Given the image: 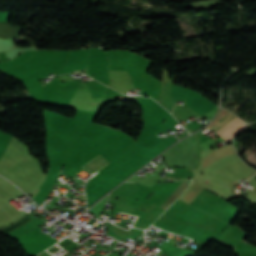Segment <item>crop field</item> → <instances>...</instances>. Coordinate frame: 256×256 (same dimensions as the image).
<instances>
[{"label":"crop field","mask_w":256,"mask_h":256,"mask_svg":"<svg viewBox=\"0 0 256 256\" xmlns=\"http://www.w3.org/2000/svg\"><path fill=\"white\" fill-rule=\"evenodd\" d=\"M244 123L239 118H234L232 121L217 130V134L228 140L243 130Z\"/></svg>","instance_id":"obj_1"},{"label":"crop field","mask_w":256,"mask_h":256,"mask_svg":"<svg viewBox=\"0 0 256 256\" xmlns=\"http://www.w3.org/2000/svg\"><path fill=\"white\" fill-rule=\"evenodd\" d=\"M224 109H222L223 111ZM222 111L220 112V114L222 113ZM219 114V116H220ZM218 116V118H219ZM234 117H236L235 115H233L232 113L228 112L227 110H224V112L221 114L220 118L216 121L214 120L215 123H211L209 124L207 127L208 128H213V129H217L219 128L220 126H222L223 124H225L226 122H228L229 120L233 119Z\"/></svg>","instance_id":"obj_2"},{"label":"crop field","mask_w":256,"mask_h":256,"mask_svg":"<svg viewBox=\"0 0 256 256\" xmlns=\"http://www.w3.org/2000/svg\"><path fill=\"white\" fill-rule=\"evenodd\" d=\"M187 186V182H182L181 185L178 188H176L173 191V193L168 197V199L161 205V207L166 209L171 203L175 201L176 198H178L181 195V193Z\"/></svg>","instance_id":"obj_3"},{"label":"crop field","mask_w":256,"mask_h":256,"mask_svg":"<svg viewBox=\"0 0 256 256\" xmlns=\"http://www.w3.org/2000/svg\"><path fill=\"white\" fill-rule=\"evenodd\" d=\"M13 206V205H12ZM16 208V207H15Z\"/></svg>","instance_id":"obj_4"}]
</instances>
